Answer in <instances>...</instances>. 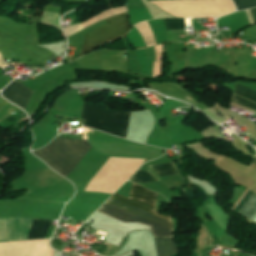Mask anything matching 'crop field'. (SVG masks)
<instances>
[{
  "label": "crop field",
  "mask_w": 256,
  "mask_h": 256,
  "mask_svg": "<svg viewBox=\"0 0 256 256\" xmlns=\"http://www.w3.org/2000/svg\"><path fill=\"white\" fill-rule=\"evenodd\" d=\"M129 180L135 181L137 183H145L158 181L159 179H157L149 171L138 170Z\"/></svg>",
  "instance_id": "obj_11"
},
{
  "label": "crop field",
  "mask_w": 256,
  "mask_h": 256,
  "mask_svg": "<svg viewBox=\"0 0 256 256\" xmlns=\"http://www.w3.org/2000/svg\"><path fill=\"white\" fill-rule=\"evenodd\" d=\"M157 197V193L133 183L130 198L115 193L107 203L172 226L171 215L156 213ZM107 203L98 212L123 221H139L149 224L155 237H173V226L169 227Z\"/></svg>",
  "instance_id": "obj_1"
},
{
  "label": "crop field",
  "mask_w": 256,
  "mask_h": 256,
  "mask_svg": "<svg viewBox=\"0 0 256 256\" xmlns=\"http://www.w3.org/2000/svg\"><path fill=\"white\" fill-rule=\"evenodd\" d=\"M51 220L13 218L11 240L46 238Z\"/></svg>",
  "instance_id": "obj_6"
},
{
  "label": "crop field",
  "mask_w": 256,
  "mask_h": 256,
  "mask_svg": "<svg viewBox=\"0 0 256 256\" xmlns=\"http://www.w3.org/2000/svg\"><path fill=\"white\" fill-rule=\"evenodd\" d=\"M33 91L18 81H13L2 92L3 96L14 102L20 107L26 109Z\"/></svg>",
  "instance_id": "obj_7"
},
{
  "label": "crop field",
  "mask_w": 256,
  "mask_h": 256,
  "mask_svg": "<svg viewBox=\"0 0 256 256\" xmlns=\"http://www.w3.org/2000/svg\"><path fill=\"white\" fill-rule=\"evenodd\" d=\"M249 190V189H248ZM247 190V191H248ZM253 192H251L250 190L247 192V194L242 198V200L237 204V206L234 208L236 210V212L238 213L239 210L242 208V206L245 204V202L248 200V198L251 196ZM256 212V193H253L252 196L249 198V200L246 202V204L243 206V208L240 210V214L244 215L245 217L249 218ZM239 214V215H240ZM251 220L256 222V213L252 216Z\"/></svg>",
  "instance_id": "obj_8"
},
{
  "label": "crop field",
  "mask_w": 256,
  "mask_h": 256,
  "mask_svg": "<svg viewBox=\"0 0 256 256\" xmlns=\"http://www.w3.org/2000/svg\"><path fill=\"white\" fill-rule=\"evenodd\" d=\"M149 167L157 173L158 177L179 174L173 162L151 165Z\"/></svg>",
  "instance_id": "obj_10"
},
{
  "label": "crop field",
  "mask_w": 256,
  "mask_h": 256,
  "mask_svg": "<svg viewBox=\"0 0 256 256\" xmlns=\"http://www.w3.org/2000/svg\"><path fill=\"white\" fill-rule=\"evenodd\" d=\"M50 240L0 243V256H53Z\"/></svg>",
  "instance_id": "obj_5"
},
{
  "label": "crop field",
  "mask_w": 256,
  "mask_h": 256,
  "mask_svg": "<svg viewBox=\"0 0 256 256\" xmlns=\"http://www.w3.org/2000/svg\"><path fill=\"white\" fill-rule=\"evenodd\" d=\"M234 94V93H233ZM240 97V96H239ZM235 95L232 96V100L231 102L233 103H236V104H239L245 108H248V109H251V110H254L256 111V104L252 103V102H249L247 100H244L242 98H239Z\"/></svg>",
  "instance_id": "obj_16"
},
{
  "label": "crop field",
  "mask_w": 256,
  "mask_h": 256,
  "mask_svg": "<svg viewBox=\"0 0 256 256\" xmlns=\"http://www.w3.org/2000/svg\"><path fill=\"white\" fill-rule=\"evenodd\" d=\"M7 65H9V64L2 59V55L0 53V66L3 68L5 66H7Z\"/></svg>",
  "instance_id": "obj_18"
},
{
  "label": "crop field",
  "mask_w": 256,
  "mask_h": 256,
  "mask_svg": "<svg viewBox=\"0 0 256 256\" xmlns=\"http://www.w3.org/2000/svg\"><path fill=\"white\" fill-rule=\"evenodd\" d=\"M158 256H175L178 249L174 238H154Z\"/></svg>",
  "instance_id": "obj_9"
},
{
  "label": "crop field",
  "mask_w": 256,
  "mask_h": 256,
  "mask_svg": "<svg viewBox=\"0 0 256 256\" xmlns=\"http://www.w3.org/2000/svg\"><path fill=\"white\" fill-rule=\"evenodd\" d=\"M60 137L43 150L34 152V154L67 177L92 146L87 140Z\"/></svg>",
  "instance_id": "obj_2"
},
{
  "label": "crop field",
  "mask_w": 256,
  "mask_h": 256,
  "mask_svg": "<svg viewBox=\"0 0 256 256\" xmlns=\"http://www.w3.org/2000/svg\"><path fill=\"white\" fill-rule=\"evenodd\" d=\"M234 93L256 102V92L239 84L236 85Z\"/></svg>",
  "instance_id": "obj_15"
},
{
  "label": "crop field",
  "mask_w": 256,
  "mask_h": 256,
  "mask_svg": "<svg viewBox=\"0 0 256 256\" xmlns=\"http://www.w3.org/2000/svg\"><path fill=\"white\" fill-rule=\"evenodd\" d=\"M60 16H61V14L43 12L42 19L40 22L43 24H47V25L62 29V27L59 23Z\"/></svg>",
  "instance_id": "obj_12"
},
{
  "label": "crop field",
  "mask_w": 256,
  "mask_h": 256,
  "mask_svg": "<svg viewBox=\"0 0 256 256\" xmlns=\"http://www.w3.org/2000/svg\"><path fill=\"white\" fill-rule=\"evenodd\" d=\"M238 11L242 9L256 7V0H234Z\"/></svg>",
  "instance_id": "obj_17"
},
{
  "label": "crop field",
  "mask_w": 256,
  "mask_h": 256,
  "mask_svg": "<svg viewBox=\"0 0 256 256\" xmlns=\"http://www.w3.org/2000/svg\"><path fill=\"white\" fill-rule=\"evenodd\" d=\"M253 163H255V164H256V158L254 159Z\"/></svg>",
  "instance_id": "obj_21"
},
{
  "label": "crop field",
  "mask_w": 256,
  "mask_h": 256,
  "mask_svg": "<svg viewBox=\"0 0 256 256\" xmlns=\"http://www.w3.org/2000/svg\"><path fill=\"white\" fill-rule=\"evenodd\" d=\"M11 218H0V241H9Z\"/></svg>",
  "instance_id": "obj_13"
},
{
  "label": "crop field",
  "mask_w": 256,
  "mask_h": 256,
  "mask_svg": "<svg viewBox=\"0 0 256 256\" xmlns=\"http://www.w3.org/2000/svg\"><path fill=\"white\" fill-rule=\"evenodd\" d=\"M130 113L109 112L104 105L84 102L81 119L84 120V126L86 127L125 138Z\"/></svg>",
  "instance_id": "obj_3"
},
{
  "label": "crop field",
  "mask_w": 256,
  "mask_h": 256,
  "mask_svg": "<svg viewBox=\"0 0 256 256\" xmlns=\"http://www.w3.org/2000/svg\"><path fill=\"white\" fill-rule=\"evenodd\" d=\"M7 103H9V102L0 97V107L4 106Z\"/></svg>",
  "instance_id": "obj_19"
},
{
  "label": "crop field",
  "mask_w": 256,
  "mask_h": 256,
  "mask_svg": "<svg viewBox=\"0 0 256 256\" xmlns=\"http://www.w3.org/2000/svg\"><path fill=\"white\" fill-rule=\"evenodd\" d=\"M251 12H252V15H253L254 22L256 23V8L251 9Z\"/></svg>",
  "instance_id": "obj_20"
},
{
  "label": "crop field",
  "mask_w": 256,
  "mask_h": 256,
  "mask_svg": "<svg viewBox=\"0 0 256 256\" xmlns=\"http://www.w3.org/2000/svg\"><path fill=\"white\" fill-rule=\"evenodd\" d=\"M106 21L108 22L107 24L85 35V43L81 55L106 42L122 38L131 30L127 13L111 17Z\"/></svg>",
  "instance_id": "obj_4"
},
{
  "label": "crop field",
  "mask_w": 256,
  "mask_h": 256,
  "mask_svg": "<svg viewBox=\"0 0 256 256\" xmlns=\"http://www.w3.org/2000/svg\"><path fill=\"white\" fill-rule=\"evenodd\" d=\"M164 20L167 30L186 29L184 18H166Z\"/></svg>",
  "instance_id": "obj_14"
}]
</instances>
